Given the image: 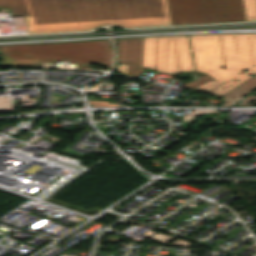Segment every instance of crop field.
<instances>
[{"label":"crop field","mask_w":256,"mask_h":256,"mask_svg":"<svg viewBox=\"0 0 256 256\" xmlns=\"http://www.w3.org/2000/svg\"><path fill=\"white\" fill-rule=\"evenodd\" d=\"M119 26L172 25L167 0H114ZM30 33L93 29L105 24L99 0H0Z\"/></svg>","instance_id":"crop-field-1"},{"label":"crop field","mask_w":256,"mask_h":256,"mask_svg":"<svg viewBox=\"0 0 256 256\" xmlns=\"http://www.w3.org/2000/svg\"><path fill=\"white\" fill-rule=\"evenodd\" d=\"M194 62L187 36H174L179 71L215 69L208 73L214 79L193 89L210 93L214 86L254 66L248 34H209L189 36ZM225 65V69H221Z\"/></svg>","instance_id":"crop-field-2"},{"label":"crop field","mask_w":256,"mask_h":256,"mask_svg":"<svg viewBox=\"0 0 256 256\" xmlns=\"http://www.w3.org/2000/svg\"><path fill=\"white\" fill-rule=\"evenodd\" d=\"M5 66L40 67L41 62L68 60L78 68L98 63L110 68L113 49L106 40L1 46Z\"/></svg>","instance_id":"crop-field-3"},{"label":"crop field","mask_w":256,"mask_h":256,"mask_svg":"<svg viewBox=\"0 0 256 256\" xmlns=\"http://www.w3.org/2000/svg\"><path fill=\"white\" fill-rule=\"evenodd\" d=\"M173 25L246 21L242 0H168Z\"/></svg>","instance_id":"crop-field-4"},{"label":"crop field","mask_w":256,"mask_h":256,"mask_svg":"<svg viewBox=\"0 0 256 256\" xmlns=\"http://www.w3.org/2000/svg\"><path fill=\"white\" fill-rule=\"evenodd\" d=\"M156 71L179 73L173 36L157 37Z\"/></svg>","instance_id":"crop-field-5"},{"label":"crop field","mask_w":256,"mask_h":256,"mask_svg":"<svg viewBox=\"0 0 256 256\" xmlns=\"http://www.w3.org/2000/svg\"><path fill=\"white\" fill-rule=\"evenodd\" d=\"M143 38L129 39L128 75L139 77L144 69H141Z\"/></svg>","instance_id":"crop-field-6"},{"label":"crop field","mask_w":256,"mask_h":256,"mask_svg":"<svg viewBox=\"0 0 256 256\" xmlns=\"http://www.w3.org/2000/svg\"><path fill=\"white\" fill-rule=\"evenodd\" d=\"M249 36H250V41H251V47H252L255 67L250 69L249 71H247V72L229 80L228 82H226V83H224V84H222L218 87H215L210 94L221 97L226 92L230 91L231 89H233L234 87H236L237 85H239L240 83H242L243 81H245L246 79L251 77L247 73H251V74H254V75L256 74V34H249ZM235 79H240V80L239 81H234Z\"/></svg>","instance_id":"crop-field-7"},{"label":"crop field","mask_w":256,"mask_h":256,"mask_svg":"<svg viewBox=\"0 0 256 256\" xmlns=\"http://www.w3.org/2000/svg\"><path fill=\"white\" fill-rule=\"evenodd\" d=\"M256 89V75L249 78L230 92L223 96L224 103L220 106L233 105L237 100Z\"/></svg>","instance_id":"crop-field-8"},{"label":"crop field","mask_w":256,"mask_h":256,"mask_svg":"<svg viewBox=\"0 0 256 256\" xmlns=\"http://www.w3.org/2000/svg\"><path fill=\"white\" fill-rule=\"evenodd\" d=\"M156 37L144 38L142 68L155 69Z\"/></svg>","instance_id":"crop-field-9"},{"label":"crop field","mask_w":256,"mask_h":256,"mask_svg":"<svg viewBox=\"0 0 256 256\" xmlns=\"http://www.w3.org/2000/svg\"><path fill=\"white\" fill-rule=\"evenodd\" d=\"M100 3H101L106 24L118 25L113 0H100Z\"/></svg>","instance_id":"crop-field-10"},{"label":"crop field","mask_w":256,"mask_h":256,"mask_svg":"<svg viewBox=\"0 0 256 256\" xmlns=\"http://www.w3.org/2000/svg\"><path fill=\"white\" fill-rule=\"evenodd\" d=\"M127 52H128V39H119L118 51H117L118 63H127Z\"/></svg>","instance_id":"crop-field-11"},{"label":"crop field","mask_w":256,"mask_h":256,"mask_svg":"<svg viewBox=\"0 0 256 256\" xmlns=\"http://www.w3.org/2000/svg\"><path fill=\"white\" fill-rule=\"evenodd\" d=\"M247 21L256 20V0H243Z\"/></svg>","instance_id":"crop-field-12"},{"label":"crop field","mask_w":256,"mask_h":256,"mask_svg":"<svg viewBox=\"0 0 256 256\" xmlns=\"http://www.w3.org/2000/svg\"><path fill=\"white\" fill-rule=\"evenodd\" d=\"M210 79H212V78L209 75L206 74L202 77L196 78V79L190 81L189 83L185 84L184 89L191 90L194 87H196V86H198V85H200V84H202V83H204V82H206Z\"/></svg>","instance_id":"crop-field-13"},{"label":"crop field","mask_w":256,"mask_h":256,"mask_svg":"<svg viewBox=\"0 0 256 256\" xmlns=\"http://www.w3.org/2000/svg\"><path fill=\"white\" fill-rule=\"evenodd\" d=\"M93 106H119L118 103H110L103 101H88Z\"/></svg>","instance_id":"crop-field-14"},{"label":"crop field","mask_w":256,"mask_h":256,"mask_svg":"<svg viewBox=\"0 0 256 256\" xmlns=\"http://www.w3.org/2000/svg\"><path fill=\"white\" fill-rule=\"evenodd\" d=\"M256 100V95L252 94L250 96H247L243 102H240V104L238 106H245L253 101Z\"/></svg>","instance_id":"crop-field-15"},{"label":"crop field","mask_w":256,"mask_h":256,"mask_svg":"<svg viewBox=\"0 0 256 256\" xmlns=\"http://www.w3.org/2000/svg\"><path fill=\"white\" fill-rule=\"evenodd\" d=\"M253 105H256V103H255V104H253Z\"/></svg>","instance_id":"crop-field-16"}]
</instances>
